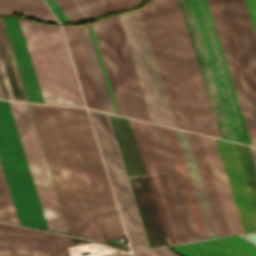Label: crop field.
<instances>
[{"label": "crop field", "mask_w": 256, "mask_h": 256, "mask_svg": "<svg viewBox=\"0 0 256 256\" xmlns=\"http://www.w3.org/2000/svg\"><path fill=\"white\" fill-rule=\"evenodd\" d=\"M30 105L71 234L125 236L85 109Z\"/></svg>", "instance_id": "crop-field-1"}, {"label": "crop field", "mask_w": 256, "mask_h": 256, "mask_svg": "<svg viewBox=\"0 0 256 256\" xmlns=\"http://www.w3.org/2000/svg\"><path fill=\"white\" fill-rule=\"evenodd\" d=\"M256 127V37L244 0H216Z\"/></svg>", "instance_id": "crop-field-9"}, {"label": "crop field", "mask_w": 256, "mask_h": 256, "mask_svg": "<svg viewBox=\"0 0 256 256\" xmlns=\"http://www.w3.org/2000/svg\"><path fill=\"white\" fill-rule=\"evenodd\" d=\"M202 42L211 65L233 140L251 144L228 67L206 0H190Z\"/></svg>", "instance_id": "crop-field-8"}, {"label": "crop field", "mask_w": 256, "mask_h": 256, "mask_svg": "<svg viewBox=\"0 0 256 256\" xmlns=\"http://www.w3.org/2000/svg\"><path fill=\"white\" fill-rule=\"evenodd\" d=\"M92 25L119 113L149 121L119 16Z\"/></svg>", "instance_id": "crop-field-5"}, {"label": "crop field", "mask_w": 256, "mask_h": 256, "mask_svg": "<svg viewBox=\"0 0 256 256\" xmlns=\"http://www.w3.org/2000/svg\"><path fill=\"white\" fill-rule=\"evenodd\" d=\"M164 127V126H163ZM165 134L169 143V147L172 153V157L177 169V173L182 185V189L190 210V214L193 220V224L198 236V239H206L207 234L202 221V217L197 205V201L193 192V188L189 179V175L185 166V162L180 150V146L176 137L174 129L164 127Z\"/></svg>", "instance_id": "crop-field-19"}, {"label": "crop field", "mask_w": 256, "mask_h": 256, "mask_svg": "<svg viewBox=\"0 0 256 256\" xmlns=\"http://www.w3.org/2000/svg\"><path fill=\"white\" fill-rule=\"evenodd\" d=\"M132 250L149 248L108 115L88 109Z\"/></svg>", "instance_id": "crop-field-7"}, {"label": "crop field", "mask_w": 256, "mask_h": 256, "mask_svg": "<svg viewBox=\"0 0 256 256\" xmlns=\"http://www.w3.org/2000/svg\"><path fill=\"white\" fill-rule=\"evenodd\" d=\"M116 256H130V255H127V254H122V255H116Z\"/></svg>", "instance_id": "crop-field-35"}, {"label": "crop field", "mask_w": 256, "mask_h": 256, "mask_svg": "<svg viewBox=\"0 0 256 256\" xmlns=\"http://www.w3.org/2000/svg\"><path fill=\"white\" fill-rule=\"evenodd\" d=\"M0 50H1V54H2V57H3L4 63H5V66H6V70H7L9 79H10L11 86H12V89H13V92H14L15 99L16 100H21V101H26L25 97H24V94H23V90H22L20 81H19V78H18V74H17L16 68H15V65H14V62H13V58H12V55H11V52H10V49H9L4 31H3V28H2V25H1V22H0ZM0 74H1L4 86H5V89H6L8 99L9 100H14L13 96H12L10 86H9V83H8L7 76H6V73H5V70H4V66H3V63H2L1 57H0ZM1 77H0V79H1ZM2 80H1V82H2ZM1 82H0V98L6 99L7 98V96L5 98L6 93L4 95L5 89L3 91L4 86L2 88L3 83L1 85Z\"/></svg>", "instance_id": "crop-field-24"}, {"label": "crop field", "mask_w": 256, "mask_h": 256, "mask_svg": "<svg viewBox=\"0 0 256 256\" xmlns=\"http://www.w3.org/2000/svg\"><path fill=\"white\" fill-rule=\"evenodd\" d=\"M0 162L19 223L69 233L28 103L0 100Z\"/></svg>", "instance_id": "crop-field-2"}, {"label": "crop field", "mask_w": 256, "mask_h": 256, "mask_svg": "<svg viewBox=\"0 0 256 256\" xmlns=\"http://www.w3.org/2000/svg\"><path fill=\"white\" fill-rule=\"evenodd\" d=\"M188 133L190 143L195 155V159L201 174V178L206 190V194L212 209V213L217 225L220 236L230 235L224 218V214L220 205V201L216 192L213 178L209 169V165L205 156V152L201 143L200 136Z\"/></svg>", "instance_id": "crop-field-21"}, {"label": "crop field", "mask_w": 256, "mask_h": 256, "mask_svg": "<svg viewBox=\"0 0 256 256\" xmlns=\"http://www.w3.org/2000/svg\"><path fill=\"white\" fill-rule=\"evenodd\" d=\"M18 20L44 102L84 107L59 26Z\"/></svg>", "instance_id": "crop-field-4"}, {"label": "crop field", "mask_w": 256, "mask_h": 256, "mask_svg": "<svg viewBox=\"0 0 256 256\" xmlns=\"http://www.w3.org/2000/svg\"><path fill=\"white\" fill-rule=\"evenodd\" d=\"M168 247L183 256H256V249L237 236Z\"/></svg>", "instance_id": "crop-field-17"}, {"label": "crop field", "mask_w": 256, "mask_h": 256, "mask_svg": "<svg viewBox=\"0 0 256 256\" xmlns=\"http://www.w3.org/2000/svg\"><path fill=\"white\" fill-rule=\"evenodd\" d=\"M128 14L156 100V104L161 116L162 123L164 125L175 127L174 120L160 79V75L151 50V46L141 18L140 11L138 10L130 12Z\"/></svg>", "instance_id": "crop-field-14"}, {"label": "crop field", "mask_w": 256, "mask_h": 256, "mask_svg": "<svg viewBox=\"0 0 256 256\" xmlns=\"http://www.w3.org/2000/svg\"><path fill=\"white\" fill-rule=\"evenodd\" d=\"M119 16H120V20H121L123 30H124V33L126 36L128 47H129V50L131 53V57H132V60L134 63L136 74H137V77L139 80V84H140V87L142 90V94H143L144 101H145V104L147 107V111H148V114L150 117V121L154 122V123L162 124L155 101H154V97H153L151 88L149 85V81H148V78H147V75H146V72L144 69V65H143V62H142V59H141V56L139 53V49H138V46H137V43H136V40L134 37V33H133V30H132V27H131V24L129 21L128 14L127 13L120 14Z\"/></svg>", "instance_id": "crop-field-22"}, {"label": "crop field", "mask_w": 256, "mask_h": 256, "mask_svg": "<svg viewBox=\"0 0 256 256\" xmlns=\"http://www.w3.org/2000/svg\"><path fill=\"white\" fill-rule=\"evenodd\" d=\"M221 137L232 140L189 0H178ZM177 0H158L181 73L199 70ZM201 134H220L199 71L181 74ZM233 141V140H232Z\"/></svg>", "instance_id": "crop-field-3"}, {"label": "crop field", "mask_w": 256, "mask_h": 256, "mask_svg": "<svg viewBox=\"0 0 256 256\" xmlns=\"http://www.w3.org/2000/svg\"><path fill=\"white\" fill-rule=\"evenodd\" d=\"M13 46V50L20 68V72L31 102L44 103L34 74V70L27 52V48L20 30L18 20L3 17Z\"/></svg>", "instance_id": "crop-field-18"}, {"label": "crop field", "mask_w": 256, "mask_h": 256, "mask_svg": "<svg viewBox=\"0 0 256 256\" xmlns=\"http://www.w3.org/2000/svg\"><path fill=\"white\" fill-rule=\"evenodd\" d=\"M0 13H16L27 17L55 21L42 0H0Z\"/></svg>", "instance_id": "crop-field-25"}, {"label": "crop field", "mask_w": 256, "mask_h": 256, "mask_svg": "<svg viewBox=\"0 0 256 256\" xmlns=\"http://www.w3.org/2000/svg\"><path fill=\"white\" fill-rule=\"evenodd\" d=\"M186 129L197 132L157 0L148 4ZM198 133V132H197Z\"/></svg>", "instance_id": "crop-field-15"}, {"label": "crop field", "mask_w": 256, "mask_h": 256, "mask_svg": "<svg viewBox=\"0 0 256 256\" xmlns=\"http://www.w3.org/2000/svg\"><path fill=\"white\" fill-rule=\"evenodd\" d=\"M62 28L87 107L114 113L88 26Z\"/></svg>", "instance_id": "crop-field-12"}, {"label": "crop field", "mask_w": 256, "mask_h": 256, "mask_svg": "<svg viewBox=\"0 0 256 256\" xmlns=\"http://www.w3.org/2000/svg\"><path fill=\"white\" fill-rule=\"evenodd\" d=\"M109 115L151 247L167 245L129 120Z\"/></svg>", "instance_id": "crop-field-11"}, {"label": "crop field", "mask_w": 256, "mask_h": 256, "mask_svg": "<svg viewBox=\"0 0 256 256\" xmlns=\"http://www.w3.org/2000/svg\"><path fill=\"white\" fill-rule=\"evenodd\" d=\"M71 238L0 224V256H68Z\"/></svg>", "instance_id": "crop-field-13"}, {"label": "crop field", "mask_w": 256, "mask_h": 256, "mask_svg": "<svg viewBox=\"0 0 256 256\" xmlns=\"http://www.w3.org/2000/svg\"><path fill=\"white\" fill-rule=\"evenodd\" d=\"M0 210L4 221L18 223L16 213L0 166Z\"/></svg>", "instance_id": "crop-field-28"}, {"label": "crop field", "mask_w": 256, "mask_h": 256, "mask_svg": "<svg viewBox=\"0 0 256 256\" xmlns=\"http://www.w3.org/2000/svg\"><path fill=\"white\" fill-rule=\"evenodd\" d=\"M239 237L256 248V233L239 235Z\"/></svg>", "instance_id": "crop-field-33"}, {"label": "crop field", "mask_w": 256, "mask_h": 256, "mask_svg": "<svg viewBox=\"0 0 256 256\" xmlns=\"http://www.w3.org/2000/svg\"><path fill=\"white\" fill-rule=\"evenodd\" d=\"M130 120L168 245L186 242L149 123Z\"/></svg>", "instance_id": "crop-field-10"}, {"label": "crop field", "mask_w": 256, "mask_h": 256, "mask_svg": "<svg viewBox=\"0 0 256 256\" xmlns=\"http://www.w3.org/2000/svg\"><path fill=\"white\" fill-rule=\"evenodd\" d=\"M201 136L202 143L206 152V156L210 165V169L214 178L217 192L221 201V205L225 214V218L231 235L249 231H256V216L250 200V196L246 187L243 173L239 164V160L235 151L234 144L227 141L216 140L207 136Z\"/></svg>", "instance_id": "crop-field-6"}, {"label": "crop field", "mask_w": 256, "mask_h": 256, "mask_svg": "<svg viewBox=\"0 0 256 256\" xmlns=\"http://www.w3.org/2000/svg\"><path fill=\"white\" fill-rule=\"evenodd\" d=\"M234 144L256 213V169L251 153L248 146L236 143Z\"/></svg>", "instance_id": "crop-field-27"}, {"label": "crop field", "mask_w": 256, "mask_h": 256, "mask_svg": "<svg viewBox=\"0 0 256 256\" xmlns=\"http://www.w3.org/2000/svg\"><path fill=\"white\" fill-rule=\"evenodd\" d=\"M89 19L104 14L96 0H77ZM76 0H56L70 22L88 19Z\"/></svg>", "instance_id": "crop-field-26"}, {"label": "crop field", "mask_w": 256, "mask_h": 256, "mask_svg": "<svg viewBox=\"0 0 256 256\" xmlns=\"http://www.w3.org/2000/svg\"><path fill=\"white\" fill-rule=\"evenodd\" d=\"M51 11L54 13L58 21L62 22H69L67 17L64 15L58 4L55 2V0H45Z\"/></svg>", "instance_id": "crop-field-31"}, {"label": "crop field", "mask_w": 256, "mask_h": 256, "mask_svg": "<svg viewBox=\"0 0 256 256\" xmlns=\"http://www.w3.org/2000/svg\"><path fill=\"white\" fill-rule=\"evenodd\" d=\"M250 147V150H251V153H252V157H253V160H254V163H255V166H256V148L255 147Z\"/></svg>", "instance_id": "crop-field-34"}, {"label": "crop field", "mask_w": 256, "mask_h": 256, "mask_svg": "<svg viewBox=\"0 0 256 256\" xmlns=\"http://www.w3.org/2000/svg\"><path fill=\"white\" fill-rule=\"evenodd\" d=\"M137 256H178L166 247L133 252Z\"/></svg>", "instance_id": "crop-field-30"}, {"label": "crop field", "mask_w": 256, "mask_h": 256, "mask_svg": "<svg viewBox=\"0 0 256 256\" xmlns=\"http://www.w3.org/2000/svg\"><path fill=\"white\" fill-rule=\"evenodd\" d=\"M140 11L142 14V18H143V21H144V24H145V27L147 30V34H148L151 46H152V50H153V53H154V56L156 59V63H157V66H158V69H159V72L161 75V79H162V82H163V85L165 88V92H166V95H167V98H168V101L170 104V108H171V111H172V114H173V117L175 120L176 127L179 129L186 130L180 110H179V106H178V103H177V100L175 97V93H174V90H173V87L171 84V80H170V77H169V74H168V71L166 68V64H165V61H164V58L162 55V51H161V48H160V45L158 42V38H157L155 29L153 26V22H152L150 13H149L148 6L143 7L142 9H140Z\"/></svg>", "instance_id": "crop-field-23"}, {"label": "crop field", "mask_w": 256, "mask_h": 256, "mask_svg": "<svg viewBox=\"0 0 256 256\" xmlns=\"http://www.w3.org/2000/svg\"><path fill=\"white\" fill-rule=\"evenodd\" d=\"M176 130V129H175ZM177 137L181 146V150L186 162V166L190 175V179L194 188V192L198 201V205L203 217V221L207 230L208 237H217L218 232L211 213V209L205 194V190L200 178V174L194 159V155L189 143L187 133L176 130Z\"/></svg>", "instance_id": "crop-field-20"}, {"label": "crop field", "mask_w": 256, "mask_h": 256, "mask_svg": "<svg viewBox=\"0 0 256 256\" xmlns=\"http://www.w3.org/2000/svg\"><path fill=\"white\" fill-rule=\"evenodd\" d=\"M105 13L116 11L123 8H128L137 5L143 0H97Z\"/></svg>", "instance_id": "crop-field-29"}, {"label": "crop field", "mask_w": 256, "mask_h": 256, "mask_svg": "<svg viewBox=\"0 0 256 256\" xmlns=\"http://www.w3.org/2000/svg\"><path fill=\"white\" fill-rule=\"evenodd\" d=\"M0 221H1V219H0Z\"/></svg>", "instance_id": "crop-field-36"}, {"label": "crop field", "mask_w": 256, "mask_h": 256, "mask_svg": "<svg viewBox=\"0 0 256 256\" xmlns=\"http://www.w3.org/2000/svg\"><path fill=\"white\" fill-rule=\"evenodd\" d=\"M152 131L156 140V144L160 153V157L164 166V170L169 182V186L173 195V199L177 208V212L181 221L184 233H187L189 241L198 240L187 206L179 183V179L175 170V166L170 154V150L165 138L163 128L152 125ZM186 241L187 236L185 234Z\"/></svg>", "instance_id": "crop-field-16"}, {"label": "crop field", "mask_w": 256, "mask_h": 256, "mask_svg": "<svg viewBox=\"0 0 256 256\" xmlns=\"http://www.w3.org/2000/svg\"><path fill=\"white\" fill-rule=\"evenodd\" d=\"M256 33V0H245Z\"/></svg>", "instance_id": "crop-field-32"}]
</instances>
